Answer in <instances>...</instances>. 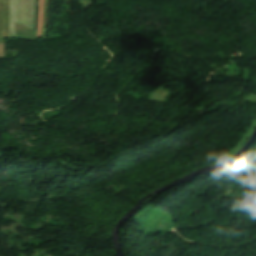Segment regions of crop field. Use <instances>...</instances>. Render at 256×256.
Instances as JSON below:
<instances>
[{"label": "crop field", "mask_w": 256, "mask_h": 256, "mask_svg": "<svg viewBox=\"0 0 256 256\" xmlns=\"http://www.w3.org/2000/svg\"><path fill=\"white\" fill-rule=\"evenodd\" d=\"M37 10H38V0H36V20H35V30H36V22H37Z\"/></svg>", "instance_id": "crop-field-1"}]
</instances>
